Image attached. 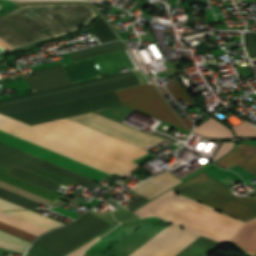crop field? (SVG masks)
<instances>
[{
  "instance_id": "22",
  "label": "crop field",
  "mask_w": 256,
  "mask_h": 256,
  "mask_svg": "<svg viewBox=\"0 0 256 256\" xmlns=\"http://www.w3.org/2000/svg\"><path fill=\"white\" fill-rule=\"evenodd\" d=\"M41 167H43V168H45V169H48V170H50V171H52V172H55V173H57V174H60V175H62V176H65V177H67V178H70V179H72V180H75V181H77V182H80V183H82V184H84V185H86V186L92 187V188L99 186V184L93 182V180H91V179H89V178H86V177H84V176H81V175H79V174H76V173H74V172H71V171L66 170V169H64V168H61V167H59V166L53 165V164L48 163V162H46V161H44V162L41 164Z\"/></svg>"
},
{
  "instance_id": "3",
  "label": "crop field",
  "mask_w": 256,
  "mask_h": 256,
  "mask_svg": "<svg viewBox=\"0 0 256 256\" xmlns=\"http://www.w3.org/2000/svg\"><path fill=\"white\" fill-rule=\"evenodd\" d=\"M213 209L170 190L135 212L143 217L158 215L200 235L229 242L243 222Z\"/></svg>"
},
{
  "instance_id": "28",
  "label": "crop field",
  "mask_w": 256,
  "mask_h": 256,
  "mask_svg": "<svg viewBox=\"0 0 256 256\" xmlns=\"http://www.w3.org/2000/svg\"><path fill=\"white\" fill-rule=\"evenodd\" d=\"M233 146H234V143H222L221 147L219 148V150L217 151V153L213 157L212 161H215L217 158H219L220 156L225 154L227 151L232 149Z\"/></svg>"
},
{
  "instance_id": "5",
  "label": "crop field",
  "mask_w": 256,
  "mask_h": 256,
  "mask_svg": "<svg viewBox=\"0 0 256 256\" xmlns=\"http://www.w3.org/2000/svg\"><path fill=\"white\" fill-rule=\"evenodd\" d=\"M96 15L87 3H68L25 5L5 16L42 41L80 29Z\"/></svg>"
},
{
  "instance_id": "27",
  "label": "crop field",
  "mask_w": 256,
  "mask_h": 256,
  "mask_svg": "<svg viewBox=\"0 0 256 256\" xmlns=\"http://www.w3.org/2000/svg\"><path fill=\"white\" fill-rule=\"evenodd\" d=\"M230 127L234 130L237 137L256 135V128L245 121L236 127L234 125Z\"/></svg>"
},
{
  "instance_id": "29",
  "label": "crop field",
  "mask_w": 256,
  "mask_h": 256,
  "mask_svg": "<svg viewBox=\"0 0 256 256\" xmlns=\"http://www.w3.org/2000/svg\"><path fill=\"white\" fill-rule=\"evenodd\" d=\"M99 238H101V237H99V236L96 237V238H95L94 240H92L91 242H89V243H87V244L81 246L80 248H78V249L72 251L71 253H69V254H67V255H69V256H82L83 251H84L88 246H90L91 244H93V243H94L97 239H99Z\"/></svg>"
},
{
  "instance_id": "21",
  "label": "crop field",
  "mask_w": 256,
  "mask_h": 256,
  "mask_svg": "<svg viewBox=\"0 0 256 256\" xmlns=\"http://www.w3.org/2000/svg\"><path fill=\"white\" fill-rule=\"evenodd\" d=\"M9 174L14 175L16 177H19V178H21L23 180H26L28 182H31L33 184H36L38 186H41L43 188H46V189H48L50 191H53L55 193H56L57 189L59 188V185H57L55 183H52L50 181H47V180H45L43 178H40V177H38L36 175H33V174L29 173V172H26L24 170H21V169H19L17 167H14L9 172Z\"/></svg>"
},
{
  "instance_id": "25",
  "label": "crop field",
  "mask_w": 256,
  "mask_h": 256,
  "mask_svg": "<svg viewBox=\"0 0 256 256\" xmlns=\"http://www.w3.org/2000/svg\"><path fill=\"white\" fill-rule=\"evenodd\" d=\"M34 174H37V175L42 176L44 178L50 179V180L55 181L57 183L63 184L65 186H67L71 183L77 184V182H75V181H72L70 179L64 178V177L59 176L57 174H54V173H52L50 171H47L45 169H42L40 167L34 172Z\"/></svg>"
},
{
  "instance_id": "12",
  "label": "crop field",
  "mask_w": 256,
  "mask_h": 256,
  "mask_svg": "<svg viewBox=\"0 0 256 256\" xmlns=\"http://www.w3.org/2000/svg\"><path fill=\"white\" fill-rule=\"evenodd\" d=\"M10 170L11 169L0 165V179H3L5 181H7V182H10V183L15 184L17 186H20V187L25 188L27 190H30L32 192H35V193H37L39 195H42V196L47 197L49 199H52L54 201L58 200L61 197L58 194H54V193H52L50 191H47V190L42 189V188H40L38 186H35L33 184H30V183H28L26 181H23L21 179H18V178L14 177V176H11V175L7 174ZM3 180H0V186H3V187L8 188L10 190H13L15 192H18L20 194H23L25 196H28L30 198H33V199L38 200L40 202H43L45 204H51V203L54 202L52 200H49V199L44 198L42 196H39V195H37L35 193H32L30 191H27L25 189H22L20 187H17L15 185L7 183V182H5Z\"/></svg>"
},
{
  "instance_id": "2",
  "label": "crop field",
  "mask_w": 256,
  "mask_h": 256,
  "mask_svg": "<svg viewBox=\"0 0 256 256\" xmlns=\"http://www.w3.org/2000/svg\"><path fill=\"white\" fill-rule=\"evenodd\" d=\"M115 94L120 99L122 104L126 106L186 129L153 84H146L116 91ZM115 94L114 92H111L65 104H55L8 116L29 125H33L67 116L121 105V102Z\"/></svg>"
},
{
  "instance_id": "4",
  "label": "crop field",
  "mask_w": 256,
  "mask_h": 256,
  "mask_svg": "<svg viewBox=\"0 0 256 256\" xmlns=\"http://www.w3.org/2000/svg\"><path fill=\"white\" fill-rule=\"evenodd\" d=\"M174 189L244 221L256 216V200L234 197L228 187L205 172ZM231 240L255 254L256 217L245 222Z\"/></svg>"
},
{
  "instance_id": "17",
  "label": "crop field",
  "mask_w": 256,
  "mask_h": 256,
  "mask_svg": "<svg viewBox=\"0 0 256 256\" xmlns=\"http://www.w3.org/2000/svg\"><path fill=\"white\" fill-rule=\"evenodd\" d=\"M72 83L100 77L91 58L64 65Z\"/></svg>"
},
{
  "instance_id": "14",
  "label": "crop field",
  "mask_w": 256,
  "mask_h": 256,
  "mask_svg": "<svg viewBox=\"0 0 256 256\" xmlns=\"http://www.w3.org/2000/svg\"><path fill=\"white\" fill-rule=\"evenodd\" d=\"M33 73L35 76L25 78L33 92L71 83L63 65L35 71Z\"/></svg>"
},
{
  "instance_id": "9",
  "label": "crop field",
  "mask_w": 256,
  "mask_h": 256,
  "mask_svg": "<svg viewBox=\"0 0 256 256\" xmlns=\"http://www.w3.org/2000/svg\"><path fill=\"white\" fill-rule=\"evenodd\" d=\"M108 226L110 225L86 213L73 224L46 234L35 242L63 255Z\"/></svg>"
},
{
  "instance_id": "23",
  "label": "crop field",
  "mask_w": 256,
  "mask_h": 256,
  "mask_svg": "<svg viewBox=\"0 0 256 256\" xmlns=\"http://www.w3.org/2000/svg\"><path fill=\"white\" fill-rule=\"evenodd\" d=\"M92 28L93 29L87 31L88 35L96 36L99 39L100 43L114 40V33L111 31V29L102 18H100V20L97 21Z\"/></svg>"
},
{
  "instance_id": "16",
  "label": "crop field",
  "mask_w": 256,
  "mask_h": 256,
  "mask_svg": "<svg viewBox=\"0 0 256 256\" xmlns=\"http://www.w3.org/2000/svg\"><path fill=\"white\" fill-rule=\"evenodd\" d=\"M180 182L182 181L179 180L174 174L172 175L170 171H167L141 183V188H132V190L149 199H152Z\"/></svg>"
},
{
  "instance_id": "1",
  "label": "crop field",
  "mask_w": 256,
  "mask_h": 256,
  "mask_svg": "<svg viewBox=\"0 0 256 256\" xmlns=\"http://www.w3.org/2000/svg\"><path fill=\"white\" fill-rule=\"evenodd\" d=\"M0 129L107 172L129 174L143 151L66 119L29 126L0 114Z\"/></svg>"
},
{
  "instance_id": "7",
  "label": "crop field",
  "mask_w": 256,
  "mask_h": 256,
  "mask_svg": "<svg viewBox=\"0 0 256 256\" xmlns=\"http://www.w3.org/2000/svg\"><path fill=\"white\" fill-rule=\"evenodd\" d=\"M0 141L11 146L22 149L30 154L63 166L67 169L101 181L102 178L108 174L91 168L87 165L59 155L55 152L22 140L18 137L0 131ZM0 142V164L11 168L13 165H16L22 169H25L29 172H34L35 169L43 162V160L35 158L26 154V152L19 150L17 148L11 147L4 143Z\"/></svg>"
},
{
  "instance_id": "11",
  "label": "crop field",
  "mask_w": 256,
  "mask_h": 256,
  "mask_svg": "<svg viewBox=\"0 0 256 256\" xmlns=\"http://www.w3.org/2000/svg\"><path fill=\"white\" fill-rule=\"evenodd\" d=\"M199 236L172 224L129 256H175Z\"/></svg>"
},
{
  "instance_id": "26",
  "label": "crop field",
  "mask_w": 256,
  "mask_h": 256,
  "mask_svg": "<svg viewBox=\"0 0 256 256\" xmlns=\"http://www.w3.org/2000/svg\"><path fill=\"white\" fill-rule=\"evenodd\" d=\"M244 44L248 57H256V34L244 33Z\"/></svg>"
},
{
  "instance_id": "13",
  "label": "crop field",
  "mask_w": 256,
  "mask_h": 256,
  "mask_svg": "<svg viewBox=\"0 0 256 256\" xmlns=\"http://www.w3.org/2000/svg\"><path fill=\"white\" fill-rule=\"evenodd\" d=\"M38 40L4 16H0V53L28 46Z\"/></svg>"
},
{
  "instance_id": "8",
  "label": "crop field",
  "mask_w": 256,
  "mask_h": 256,
  "mask_svg": "<svg viewBox=\"0 0 256 256\" xmlns=\"http://www.w3.org/2000/svg\"><path fill=\"white\" fill-rule=\"evenodd\" d=\"M0 198L5 199L7 201H10L14 204H17L19 206H22L26 209H32L36 208L39 203L34 202L32 200H29L25 197H22L20 195H17L15 193H12L10 191H7L3 188H0ZM0 199V211L6 212V211H14V210H26L22 207H19L17 205H14L10 202H7L5 200ZM0 212V221L4 222L6 224H9L11 226H14L16 228H19L21 230H24L26 232H29L31 234H34L36 236H39L40 234L46 232L47 230H50L55 227L62 226L64 224L56 222L54 220H51L49 218H46L44 216H41L37 213H34L32 211H14V212H6V214H9L11 216L17 217L19 219H22L24 221H27L29 223H32L34 225L40 226H34L32 224H29L27 222H24L22 220H19L17 218L11 217L9 215H6L4 213ZM0 222V229L7 231L9 233H12L14 235H17L19 237H22L24 239H27L29 241L33 240L36 236L31 235L29 233H26L24 231H21L19 229H16L14 227H11L9 225H6L4 223Z\"/></svg>"
},
{
  "instance_id": "20",
  "label": "crop field",
  "mask_w": 256,
  "mask_h": 256,
  "mask_svg": "<svg viewBox=\"0 0 256 256\" xmlns=\"http://www.w3.org/2000/svg\"><path fill=\"white\" fill-rule=\"evenodd\" d=\"M217 245L219 244L200 237L177 256H205Z\"/></svg>"
},
{
  "instance_id": "18",
  "label": "crop field",
  "mask_w": 256,
  "mask_h": 256,
  "mask_svg": "<svg viewBox=\"0 0 256 256\" xmlns=\"http://www.w3.org/2000/svg\"><path fill=\"white\" fill-rule=\"evenodd\" d=\"M126 49L121 41L71 52L72 60H79Z\"/></svg>"
},
{
  "instance_id": "10",
  "label": "crop field",
  "mask_w": 256,
  "mask_h": 256,
  "mask_svg": "<svg viewBox=\"0 0 256 256\" xmlns=\"http://www.w3.org/2000/svg\"><path fill=\"white\" fill-rule=\"evenodd\" d=\"M126 143L147 149L163 139L150 136L136 129L108 119L94 112L66 118Z\"/></svg>"
},
{
  "instance_id": "6",
  "label": "crop field",
  "mask_w": 256,
  "mask_h": 256,
  "mask_svg": "<svg viewBox=\"0 0 256 256\" xmlns=\"http://www.w3.org/2000/svg\"><path fill=\"white\" fill-rule=\"evenodd\" d=\"M132 71L141 84L147 83L144 75L138 69ZM132 71L2 100L0 101V113L8 115L139 85L140 82Z\"/></svg>"
},
{
  "instance_id": "15",
  "label": "crop field",
  "mask_w": 256,
  "mask_h": 256,
  "mask_svg": "<svg viewBox=\"0 0 256 256\" xmlns=\"http://www.w3.org/2000/svg\"><path fill=\"white\" fill-rule=\"evenodd\" d=\"M215 164L227 169L238 164L256 175V147L238 143L231 153Z\"/></svg>"
},
{
  "instance_id": "19",
  "label": "crop field",
  "mask_w": 256,
  "mask_h": 256,
  "mask_svg": "<svg viewBox=\"0 0 256 256\" xmlns=\"http://www.w3.org/2000/svg\"><path fill=\"white\" fill-rule=\"evenodd\" d=\"M196 132H198L201 135L209 136V137H215V138H229L233 137L232 132L213 119L212 117L209 118L207 121L202 123L200 126H198L195 129Z\"/></svg>"
},
{
  "instance_id": "33",
  "label": "crop field",
  "mask_w": 256,
  "mask_h": 256,
  "mask_svg": "<svg viewBox=\"0 0 256 256\" xmlns=\"http://www.w3.org/2000/svg\"><path fill=\"white\" fill-rule=\"evenodd\" d=\"M254 191H256V189Z\"/></svg>"
},
{
  "instance_id": "30",
  "label": "crop field",
  "mask_w": 256,
  "mask_h": 256,
  "mask_svg": "<svg viewBox=\"0 0 256 256\" xmlns=\"http://www.w3.org/2000/svg\"><path fill=\"white\" fill-rule=\"evenodd\" d=\"M50 210H53V211H56V212H59V213H62L64 215H67V216H70L72 218H76L77 216L80 215V213H76V212H73L71 210H68L66 208H62V207H56V208H52Z\"/></svg>"
},
{
  "instance_id": "24",
  "label": "crop field",
  "mask_w": 256,
  "mask_h": 256,
  "mask_svg": "<svg viewBox=\"0 0 256 256\" xmlns=\"http://www.w3.org/2000/svg\"><path fill=\"white\" fill-rule=\"evenodd\" d=\"M170 81L172 84L167 85L166 87L176 100L184 98L189 106L195 104L176 78H172Z\"/></svg>"
},
{
  "instance_id": "32",
  "label": "crop field",
  "mask_w": 256,
  "mask_h": 256,
  "mask_svg": "<svg viewBox=\"0 0 256 256\" xmlns=\"http://www.w3.org/2000/svg\"><path fill=\"white\" fill-rule=\"evenodd\" d=\"M184 122V124L188 127V128H193V124L192 122L189 120V118L187 116L181 118Z\"/></svg>"
},
{
  "instance_id": "31",
  "label": "crop field",
  "mask_w": 256,
  "mask_h": 256,
  "mask_svg": "<svg viewBox=\"0 0 256 256\" xmlns=\"http://www.w3.org/2000/svg\"><path fill=\"white\" fill-rule=\"evenodd\" d=\"M149 199L145 198V197H140L139 199H137L136 201H134L133 203H131L130 205H128L129 208L131 209H136L137 207H139L140 205L144 204L145 202H147Z\"/></svg>"
}]
</instances>
